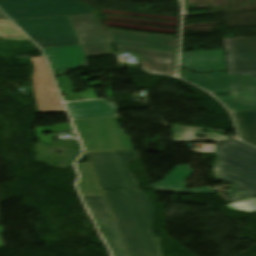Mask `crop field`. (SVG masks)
Wrapping results in <instances>:
<instances>
[{
    "label": "crop field",
    "instance_id": "crop-field-1",
    "mask_svg": "<svg viewBox=\"0 0 256 256\" xmlns=\"http://www.w3.org/2000/svg\"><path fill=\"white\" fill-rule=\"evenodd\" d=\"M216 153V177L231 185L238 182L256 196V149L230 139L217 145Z\"/></svg>",
    "mask_w": 256,
    "mask_h": 256
},
{
    "label": "crop field",
    "instance_id": "crop-field-2",
    "mask_svg": "<svg viewBox=\"0 0 256 256\" xmlns=\"http://www.w3.org/2000/svg\"><path fill=\"white\" fill-rule=\"evenodd\" d=\"M181 77L212 93H231L218 97L231 111H256V77L226 76L224 72Z\"/></svg>",
    "mask_w": 256,
    "mask_h": 256
},
{
    "label": "crop field",
    "instance_id": "crop-field-3",
    "mask_svg": "<svg viewBox=\"0 0 256 256\" xmlns=\"http://www.w3.org/2000/svg\"><path fill=\"white\" fill-rule=\"evenodd\" d=\"M118 121V116L73 120L86 152L133 150Z\"/></svg>",
    "mask_w": 256,
    "mask_h": 256
},
{
    "label": "crop field",
    "instance_id": "crop-field-4",
    "mask_svg": "<svg viewBox=\"0 0 256 256\" xmlns=\"http://www.w3.org/2000/svg\"><path fill=\"white\" fill-rule=\"evenodd\" d=\"M14 21L41 48L80 45L67 17Z\"/></svg>",
    "mask_w": 256,
    "mask_h": 256
},
{
    "label": "crop field",
    "instance_id": "crop-field-5",
    "mask_svg": "<svg viewBox=\"0 0 256 256\" xmlns=\"http://www.w3.org/2000/svg\"><path fill=\"white\" fill-rule=\"evenodd\" d=\"M0 8L12 19L94 13L78 0H0Z\"/></svg>",
    "mask_w": 256,
    "mask_h": 256
},
{
    "label": "crop field",
    "instance_id": "crop-field-6",
    "mask_svg": "<svg viewBox=\"0 0 256 256\" xmlns=\"http://www.w3.org/2000/svg\"><path fill=\"white\" fill-rule=\"evenodd\" d=\"M130 256H149L123 191H102Z\"/></svg>",
    "mask_w": 256,
    "mask_h": 256
},
{
    "label": "crop field",
    "instance_id": "crop-field-7",
    "mask_svg": "<svg viewBox=\"0 0 256 256\" xmlns=\"http://www.w3.org/2000/svg\"><path fill=\"white\" fill-rule=\"evenodd\" d=\"M227 73L256 75V38L225 39Z\"/></svg>",
    "mask_w": 256,
    "mask_h": 256
},
{
    "label": "crop field",
    "instance_id": "crop-field-8",
    "mask_svg": "<svg viewBox=\"0 0 256 256\" xmlns=\"http://www.w3.org/2000/svg\"><path fill=\"white\" fill-rule=\"evenodd\" d=\"M31 61L34 66L32 78L39 113L63 112L44 58L32 57Z\"/></svg>",
    "mask_w": 256,
    "mask_h": 256
},
{
    "label": "crop field",
    "instance_id": "crop-field-9",
    "mask_svg": "<svg viewBox=\"0 0 256 256\" xmlns=\"http://www.w3.org/2000/svg\"><path fill=\"white\" fill-rule=\"evenodd\" d=\"M113 256H129L103 196L83 197Z\"/></svg>",
    "mask_w": 256,
    "mask_h": 256
},
{
    "label": "crop field",
    "instance_id": "crop-field-10",
    "mask_svg": "<svg viewBox=\"0 0 256 256\" xmlns=\"http://www.w3.org/2000/svg\"><path fill=\"white\" fill-rule=\"evenodd\" d=\"M140 232L145 246L150 256H160L156 239L150 229L154 219V208L144 191H124Z\"/></svg>",
    "mask_w": 256,
    "mask_h": 256
},
{
    "label": "crop field",
    "instance_id": "crop-field-11",
    "mask_svg": "<svg viewBox=\"0 0 256 256\" xmlns=\"http://www.w3.org/2000/svg\"><path fill=\"white\" fill-rule=\"evenodd\" d=\"M86 154L102 190L126 187L112 152Z\"/></svg>",
    "mask_w": 256,
    "mask_h": 256
},
{
    "label": "crop field",
    "instance_id": "crop-field-12",
    "mask_svg": "<svg viewBox=\"0 0 256 256\" xmlns=\"http://www.w3.org/2000/svg\"><path fill=\"white\" fill-rule=\"evenodd\" d=\"M118 52L137 54L151 72L173 74L175 53L116 46Z\"/></svg>",
    "mask_w": 256,
    "mask_h": 256
},
{
    "label": "crop field",
    "instance_id": "crop-field-13",
    "mask_svg": "<svg viewBox=\"0 0 256 256\" xmlns=\"http://www.w3.org/2000/svg\"><path fill=\"white\" fill-rule=\"evenodd\" d=\"M111 42L119 45L175 52L176 39L106 31Z\"/></svg>",
    "mask_w": 256,
    "mask_h": 256
},
{
    "label": "crop field",
    "instance_id": "crop-field-14",
    "mask_svg": "<svg viewBox=\"0 0 256 256\" xmlns=\"http://www.w3.org/2000/svg\"><path fill=\"white\" fill-rule=\"evenodd\" d=\"M53 70L66 74L65 70L85 66L86 55L81 46L43 49ZM51 69V70H52Z\"/></svg>",
    "mask_w": 256,
    "mask_h": 256
},
{
    "label": "crop field",
    "instance_id": "crop-field-15",
    "mask_svg": "<svg viewBox=\"0 0 256 256\" xmlns=\"http://www.w3.org/2000/svg\"><path fill=\"white\" fill-rule=\"evenodd\" d=\"M182 65L197 72L226 70L224 50L183 53Z\"/></svg>",
    "mask_w": 256,
    "mask_h": 256
},
{
    "label": "crop field",
    "instance_id": "crop-field-16",
    "mask_svg": "<svg viewBox=\"0 0 256 256\" xmlns=\"http://www.w3.org/2000/svg\"><path fill=\"white\" fill-rule=\"evenodd\" d=\"M193 172L189 165H177L160 183L151 185L154 190L170 193H216L210 187L187 190L185 179Z\"/></svg>",
    "mask_w": 256,
    "mask_h": 256
},
{
    "label": "crop field",
    "instance_id": "crop-field-17",
    "mask_svg": "<svg viewBox=\"0 0 256 256\" xmlns=\"http://www.w3.org/2000/svg\"><path fill=\"white\" fill-rule=\"evenodd\" d=\"M72 119L118 115L115 103L104 100L65 103Z\"/></svg>",
    "mask_w": 256,
    "mask_h": 256
},
{
    "label": "crop field",
    "instance_id": "crop-field-18",
    "mask_svg": "<svg viewBox=\"0 0 256 256\" xmlns=\"http://www.w3.org/2000/svg\"><path fill=\"white\" fill-rule=\"evenodd\" d=\"M68 18L81 45L106 42L94 15L70 16Z\"/></svg>",
    "mask_w": 256,
    "mask_h": 256
},
{
    "label": "crop field",
    "instance_id": "crop-field-19",
    "mask_svg": "<svg viewBox=\"0 0 256 256\" xmlns=\"http://www.w3.org/2000/svg\"><path fill=\"white\" fill-rule=\"evenodd\" d=\"M244 141L256 146V112H233Z\"/></svg>",
    "mask_w": 256,
    "mask_h": 256
},
{
    "label": "crop field",
    "instance_id": "crop-field-20",
    "mask_svg": "<svg viewBox=\"0 0 256 256\" xmlns=\"http://www.w3.org/2000/svg\"><path fill=\"white\" fill-rule=\"evenodd\" d=\"M81 180L78 182L82 196L103 195L89 163L76 164Z\"/></svg>",
    "mask_w": 256,
    "mask_h": 256
},
{
    "label": "crop field",
    "instance_id": "crop-field-21",
    "mask_svg": "<svg viewBox=\"0 0 256 256\" xmlns=\"http://www.w3.org/2000/svg\"><path fill=\"white\" fill-rule=\"evenodd\" d=\"M117 160L118 166L124 178L125 184L128 190H140L133 175L129 173L127 167L130 162L134 159H138L136 151H123V152H113Z\"/></svg>",
    "mask_w": 256,
    "mask_h": 256
},
{
    "label": "crop field",
    "instance_id": "crop-field-22",
    "mask_svg": "<svg viewBox=\"0 0 256 256\" xmlns=\"http://www.w3.org/2000/svg\"><path fill=\"white\" fill-rule=\"evenodd\" d=\"M62 85L58 83V87L60 89V92L63 96L64 101H71V100H83V99H95L99 98V96L96 94V92L93 90V88L80 93H74V89L72 84L69 82L67 77L61 78Z\"/></svg>",
    "mask_w": 256,
    "mask_h": 256
},
{
    "label": "crop field",
    "instance_id": "crop-field-23",
    "mask_svg": "<svg viewBox=\"0 0 256 256\" xmlns=\"http://www.w3.org/2000/svg\"><path fill=\"white\" fill-rule=\"evenodd\" d=\"M204 130H182L180 128L172 127V133H182L177 135H182V138H175L173 136V142H181V141H213L218 143L228 137L218 135V134H209L208 140L196 139L198 134H203Z\"/></svg>",
    "mask_w": 256,
    "mask_h": 256
},
{
    "label": "crop field",
    "instance_id": "crop-field-24",
    "mask_svg": "<svg viewBox=\"0 0 256 256\" xmlns=\"http://www.w3.org/2000/svg\"><path fill=\"white\" fill-rule=\"evenodd\" d=\"M73 130L70 123L54 124V126L35 127L36 138H40L39 143L51 144L55 131ZM43 132H51L43 135Z\"/></svg>",
    "mask_w": 256,
    "mask_h": 256
},
{
    "label": "crop field",
    "instance_id": "crop-field-25",
    "mask_svg": "<svg viewBox=\"0 0 256 256\" xmlns=\"http://www.w3.org/2000/svg\"><path fill=\"white\" fill-rule=\"evenodd\" d=\"M0 37L3 40H29L9 20H0Z\"/></svg>",
    "mask_w": 256,
    "mask_h": 256
},
{
    "label": "crop field",
    "instance_id": "crop-field-26",
    "mask_svg": "<svg viewBox=\"0 0 256 256\" xmlns=\"http://www.w3.org/2000/svg\"><path fill=\"white\" fill-rule=\"evenodd\" d=\"M235 188L225 191L224 193L229 194L227 198L232 201H239L243 199H248L254 197L250 192H248L245 188H243L238 183L233 185Z\"/></svg>",
    "mask_w": 256,
    "mask_h": 256
},
{
    "label": "crop field",
    "instance_id": "crop-field-27",
    "mask_svg": "<svg viewBox=\"0 0 256 256\" xmlns=\"http://www.w3.org/2000/svg\"><path fill=\"white\" fill-rule=\"evenodd\" d=\"M227 206L233 210H239V211H244L247 213H253V212H256V198L247 200V201H243V202L230 204ZM233 206H236V208H233Z\"/></svg>",
    "mask_w": 256,
    "mask_h": 256
},
{
    "label": "crop field",
    "instance_id": "crop-field-28",
    "mask_svg": "<svg viewBox=\"0 0 256 256\" xmlns=\"http://www.w3.org/2000/svg\"><path fill=\"white\" fill-rule=\"evenodd\" d=\"M87 56L92 55H107L109 53V47L107 44L82 46Z\"/></svg>",
    "mask_w": 256,
    "mask_h": 256
},
{
    "label": "crop field",
    "instance_id": "crop-field-29",
    "mask_svg": "<svg viewBox=\"0 0 256 256\" xmlns=\"http://www.w3.org/2000/svg\"><path fill=\"white\" fill-rule=\"evenodd\" d=\"M190 150L193 152H215V145L203 144L202 149L191 148Z\"/></svg>",
    "mask_w": 256,
    "mask_h": 256
},
{
    "label": "crop field",
    "instance_id": "crop-field-30",
    "mask_svg": "<svg viewBox=\"0 0 256 256\" xmlns=\"http://www.w3.org/2000/svg\"><path fill=\"white\" fill-rule=\"evenodd\" d=\"M80 74H88V73L82 72V73L78 74V77L84 79V83H86L85 81L90 80V79L95 78V77L100 78V76H93V75H90V74H88V75L91 76L90 78H88V77H81V76H79ZM86 84H88V86H90V87H96V86L102 85V82H93V83H86Z\"/></svg>",
    "mask_w": 256,
    "mask_h": 256
},
{
    "label": "crop field",
    "instance_id": "crop-field-31",
    "mask_svg": "<svg viewBox=\"0 0 256 256\" xmlns=\"http://www.w3.org/2000/svg\"><path fill=\"white\" fill-rule=\"evenodd\" d=\"M107 93H108V98H112L111 84H108Z\"/></svg>",
    "mask_w": 256,
    "mask_h": 256
},
{
    "label": "crop field",
    "instance_id": "crop-field-32",
    "mask_svg": "<svg viewBox=\"0 0 256 256\" xmlns=\"http://www.w3.org/2000/svg\"><path fill=\"white\" fill-rule=\"evenodd\" d=\"M0 19H7L3 15L0 14Z\"/></svg>",
    "mask_w": 256,
    "mask_h": 256
}]
</instances>
